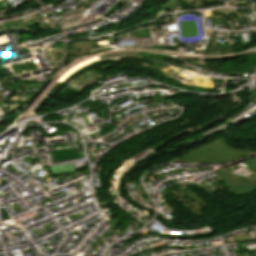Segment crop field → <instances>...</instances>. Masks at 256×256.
<instances>
[{"instance_id":"crop-field-1","label":"crop field","mask_w":256,"mask_h":256,"mask_svg":"<svg viewBox=\"0 0 256 256\" xmlns=\"http://www.w3.org/2000/svg\"><path fill=\"white\" fill-rule=\"evenodd\" d=\"M249 150L234 149L220 138L183 154V159L191 163L219 164L241 159Z\"/></svg>"},{"instance_id":"crop-field-2","label":"crop field","mask_w":256,"mask_h":256,"mask_svg":"<svg viewBox=\"0 0 256 256\" xmlns=\"http://www.w3.org/2000/svg\"><path fill=\"white\" fill-rule=\"evenodd\" d=\"M241 163L256 171V156ZM215 174L224 180L238 195L256 191V182L246 183L224 168Z\"/></svg>"}]
</instances>
